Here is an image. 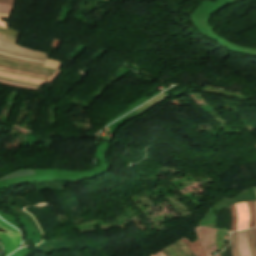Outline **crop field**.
<instances>
[{"label": "crop field", "mask_w": 256, "mask_h": 256, "mask_svg": "<svg viewBox=\"0 0 256 256\" xmlns=\"http://www.w3.org/2000/svg\"><path fill=\"white\" fill-rule=\"evenodd\" d=\"M0 70L9 71V72L18 73V74H23V75H28V76H34V77H40V78H46V79H49V77H45V76H37V75H31L32 73H31V74H26V73H22V72H18V71L10 70V69H5V68H0Z\"/></svg>", "instance_id": "crop-field-13"}, {"label": "crop field", "mask_w": 256, "mask_h": 256, "mask_svg": "<svg viewBox=\"0 0 256 256\" xmlns=\"http://www.w3.org/2000/svg\"><path fill=\"white\" fill-rule=\"evenodd\" d=\"M237 242L240 256H251L246 232L237 233Z\"/></svg>", "instance_id": "crop-field-4"}, {"label": "crop field", "mask_w": 256, "mask_h": 256, "mask_svg": "<svg viewBox=\"0 0 256 256\" xmlns=\"http://www.w3.org/2000/svg\"><path fill=\"white\" fill-rule=\"evenodd\" d=\"M0 54H2V53H0ZM2 55H5V54H2ZM6 56H9V55H6ZM10 57H13V56H10ZM14 58H17V57H14ZM18 59H21V58H18ZM23 60H25V59H23ZM29 61H31V60H29ZM36 62V61H35ZM42 63V62H41Z\"/></svg>", "instance_id": "crop-field-19"}, {"label": "crop field", "mask_w": 256, "mask_h": 256, "mask_svg": "<svg viewBox=\"0 0 256 256\" xmlns=\"http://www.w3.org/2000/svg\"><path fill=\"white\" fill-rule=\"evenodd\" d=\"M0 83L16 86V87H20V88H26V89H33V90H37L38 89V87H34V86L26 85V84H21V83L5 81V80H0Z\"/></svg>", "instance_id": "crop-field-8"}, {"label": "crop field", "mask_w": 256, "mask_h": 256, "mask_svg": "<svg viewBox=\"0 0 256 256\" xmlns=\"http://www.w3.org/2000/svg\"><path fill=\"white\" fill-rule=\"evenodd\" d=\"M216 256H219V255H216Z\"/></svg>", "instance_id": "crop-field-21"}, {"label": "crop field", "mask_w": 256, "mask_h": 256, "mask_svg": "<svg viewBox=\"0 0 256 256\" xmlns=\"http://www.w3.org/2000/svg\"><path fill=\"white\" fill-rule=\"evenodd\" d=\"M181 239L188 245V247L192 250L195 256H205L198 240L191 244V242L188 241L186 238L183 237Z\"/></svg>", "instance_id": "crop-field-6"}, {"label": "crop field", "mask_w": 256, "mask_h": 256, "mask_svg": "<svg viewBox=\"0 0 256 256\" xmlns=\"http://www.w3.org/2000/svg\"><path fill=\"white\" fill-rule=\"evenodd\" d=\"M230 248L233 256H238L237 243H236V232L231 233Z\"/></svg>", "instance_id": "crop-field-7"}, {"label": "crop field", "mask_w": 256, "mask_h": 256, "mask_svg": "<svg viewBox=\"0 0 256 256\" xmlns=\"http://www.w3.org/2000/svg\"><path fill=\"white\" fill-rule=\"evenodd\" d=\"M253 204H254L255 210H256V201H254ZM255 227H256V223H255Z\"/></svg>", "instance_id": "crop-field-20"}, {"label": "crop field", "mask_w": 256, "mask_h": 256, "mask_svg": "<svg viewBox=\"0 0 256 256\" xmlns=\"http://www.w3.org/2000/svg\"><path fill=\"white\" fill-rule=\"evenodd\" d=\"M15 0H0V3H10L13 4Z\"/></svg>", "instance_id": "crop-field-16"}, {"label": "crop field", "mask_w": 256, "mask_h": 256, "mask_svg": "<svg viewBox=\"0 0 256 256\" xmlns=\"http://www.w3.org/2000/svg\"><path fill=\"white\" fill-rule=\"evenodd\" d=\"M210 92L211 93H222V94H225V95L237 97V95H235V94H231V93H227V92H223V91H218V90H214V89H211Z\"/></svg>", "instance_id": "crop-field-15"}, {"label": "crop field", "mask_w": 256, "mask_h": 256, "mask_svg": "<svg viewBox=\"0 0 256 256\" xmlns=\"http://www.w3.org/2000/svg\"><path fill=\"white\" fill-rule=\"evenodd\" d=\"M150 256H164V254L161 251H159V252L154 253V254H152Z\"/></svg>", "instance_id": "crop-field-17"}, {"label": "crop field", "mask_w": 256, "mask_h": 256, "mask_svg": "<svg viewBox=\"0 0 256 256\" xmlns=\"http://www.w3.org/2000/svg\"><path fill=\"white\" fill-rule=\"evenodd\" d=\"M235 206L238 212L237 231L247 229L249 224V212L246 202L238 203Z\"/></svg>", "instance_id": "crop-field-3"}, {"label": "crop field", "mask_w": 256, "mask_h": 256, "mask_svg": "<svg viewBox=\"0 0 256 256\" xmlns=\"http://www.w3.org/2000/svg\"><path fill=\"white\" fill-rule=\"evenodd\" d=\"M13 5L0 4V13L10 14Z\"/></svg>", "instance_id": "crop-field-11"}, {"label": "crop field", "mask_w": 256, "mask_h": 256, "mask_svg": "<svg viewBox=\"0 0 256 256\" xmlns=\"http://www.w3.org/2000/svg\"><path fill=\"white\" fill-rule=\"evenodd\" d=\"M0 224L13 230V231L20 233L16 229H14L11 226L4 223L1 219H0ZM1 228H3V227H1ZM3 229L9 232L6 234L0 232V239L2 240V243L4 246V251H5V256H6L7 254L11 253L12 251H14L15 249H17L20 246L21 238H20V234L14 233L6 228H3Z\"/></svg>", "instance_id": "crop-field-1"}, {"label": "crop field", "mask_w": 256, "mask_h": 256, "mask_svg": "<svg viewBox=\"0 0 256 256\" xmlns=\"http://www.w3.org/2000/svg\"><path fill=\"white\" fill-rule=\"evenodd\" d=\"M216 230L202 228L200 226L195 227L196 235L201 243V246L206 254V256H211L209 252L216 250V243H215V234Z\"/></svg>", "instance_id": "crop-field-2"}, {"label": "crop field", "mask_w": 256, "mask_h": 256, "mask_svg": "<svg viewBox=\"0 0 256 256\" xmlns=\"http://www.w3.org/2000/svg\"><path fill=\"white\" fill-rule=\"evenodd\" d=\"M0 74L7 75V76H12V77H17V78H22V79H26V80H31V81H36V82L45 83V81H43V80H37V79L26 78V77H22V76L10 74V73H5V72H0Z\"/></svg>", "instance_id": "crop-field-12"}, {"label": "crop field", "mask_w": 256, "mask_h": 256, "mask_svg": "<svg viewBox=\"0 0 256 256\" xmlns=\"http://www.w3.org/2000/svg\"><path fill=\"white\" fill-rule=\"evenodd\" d=\"M253 233H254V237H255V244H256V228H253Z\"/></svg>", "instance_id": "crop-field-18"}, {"label": "crop field", "mask_w": 256, "mask_h": 256, "mask_svg": "<svg viewBox=\"0 0 256 256\" xmlns=\"http://www.w3.org/2000/svg\"><path fill=\"white\" fill-rule=\"evenodd\" d=\"M248 203V207L250 209V224H249V228L254 227V222H255V210L253 207L252 202H247ZM230 209L232 212V227H231V231H236V226H237V213L235 211L234 205H230Z\"/></svg>", "instance_id": "crop-field-5"}, {"label": "crop field", "mask_w": 256, "mask_h": 256, "mask_svg": "<svg viewBox=\"0 0 256 256\" xmlns=\"http://www.w3.org/2000/svg\"><path fill=\"white\" fill-rule=\"evenodd\" d=\"M0 33L9 34V35H12V36L17 37V38L20 35V32L14 31V30L9 29V28H7V30H4V29L0 28Z\"/></svg>", "instance_id": "crop-field-10"}, {"label": "crop field", "mask_w": 256, "mask_h": 256, "mask_svg": "<svg viewBox=\"0 0 256 256\" xmlns=\"http://www.w3.org/2000/svg\"><path fill=\"white\" fill-rule=\"evenodd\" d=\"M247 233H248V237H249L252 254H253V256H256V248H255V244H254L253 233L251 230L247 231Z\"/></svg>", "instance_id": "crop-field-9"}, {"label": "crop field", "mask_w": 256, "mask_h": 256, "mask_svg": "<svg viewBox=\"0 0 256 256\" xmlns=\"http://www.w3.org/2000/svg\"><path fill=\"white\" fill-rule=\"evenodd\" d=\"M8 16L9 15H6V14H0V17L8 18ZM0 27L5 28V29L7 28V24L4 21H1V19H0Z\"/></svg>", "instance_id": "crop-field-14"}]
</instances>
